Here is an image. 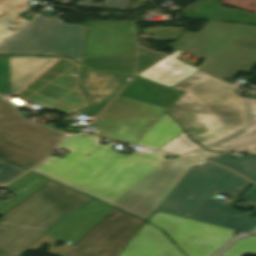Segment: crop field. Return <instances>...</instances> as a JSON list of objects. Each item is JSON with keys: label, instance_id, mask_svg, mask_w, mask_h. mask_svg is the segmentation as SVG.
Returning <instances> with one entry per match:
<instances>
[{"label": "crop field", "instance_id": "28", "mask_svg": "<svg viewBox=\"0 0 256 256\" xmlns=\"http://www.w3.org/2000/svg\"><path fill=\"white\" fill-rule=\"evenodd\" d=\"M241 200L247 201L246 204L256 207V184L251 187Z\"/></svg>", "mask_w": 256, "mask_h": 256}, {"label": "crop field", "instance_id": "29", "mask_svg": "<svg viewBox=\"0 0 256 256\" xmlns=\"http://www.w3.org/2000/svg\"><path fill=\"white\" fill-rule=\"evenodd\" d=\"M214 154H218V153L209 152L205 149H200L198 151L190 152L186 155L187 156H193V157H206V156H210V155H214Z\"/></svg>", "mask_w": 256, "mask_h": 256}, {"label": "crop field", "instance_id": "16", "mask_svg": "<svg viewBox=\"0 0 256 256\" xmlns=\"http://www.w3.org/2000/svg\"><path fill=\"white\" fill-rule=\"evenodd\" d=\"M183 52H175L162 61L158 62L151 68L145 70L144 72L136 75L156 83L162 84L169 88L173 87L177 83L181 82L191 74L195 73L196 70L175 58L181 55Z\"/></svg>", "mask_w": 256, "mask_h": 256}, {"label": "crop field", "instance_id": "2", "mask_svg": "<svg viewBox=\"0 0 256 256\" xmlns=\"http://www.w3.org/2000/svg\"><path fill=\"white\" fill-rule=\"evenodd\" d=\"M173 88L186 94L167 112L205 147L249 124L246 100L231 85L198 71Z\"/></svg>", "mask_w": 256, "mask_h": 256}, {"label": "crop field", "instance_id": "18", "mask_svg": "<svg viewBox=\"0 0 256 256\" xmlns=\"http://www.w3.org/2000/svg\"><path fill=\"white\" fill-rule=\"evenodd\" d=\"M49 179L39 176L34 173H27L21 178L14 181L7 187H3L12 191L17 192L18 194L9 200L4 202L0 201V216L28 196L30 193L35 191L41 185L46 183Z\"/></svg>", "mask_w": 256, "mask_h": 256}, {"label": "crop field", "instance_id": "11", "mask_svg": "<svg viewBox=\"0 0 256 256\" xmlns=\"http://www.w3.org/2000/svg\"><path fill=\"white\" fill-rule=\"evenodd\" d=\"M144 222L114 208L74 243L65 256H117Z\"/></svg>", "mask_w": 256, "mask_h": 256}, {"label": "crop field", "instance_id": "15", "mask_svg": "<svg viewBox=\"0 0 256 256\" xmlns=\"http://www.w3.org/2000/svg\"><path fill=\"white\" fill-rule=\"evenodd\" d=\"M214 209H217V211H214ZM236 214L239 215L234 217ZM253 214L249 212L242 214L230 206L209 199L194 220L247 232L256 225V219L250 218ZM241 221L244 223L241 224Z\"/></svg>", "mask_w": 256, "mask_h": 256}, {"label": "crop field", "instance_id": "20", "mask_svg": "<svg viewBox=\"0 0 256 256\" xmlns=\"http://www.w3.org/2000/svg\"><path fill=\"white\" fill-rule=\"evenodd\" d=\"M249 103L252 119L251 126L248 129L208 148L209 150L226 151L243 143L256 141V99H249Z\"/></svg>", "mask_w": 256, "mask_h": 256}, {"label": "crop field", "instance_id": "1", "mask_svg": "<svg viewBox=\"0 0 256 256\" xmlns=\"http://www.w3.org/2000/svg\"><path fill=\"white\" fill-rule=\"evenodd\" d=\"M113 144L98 145L89 157L50 156L33 171L147 220L188 170L203 162L165 159L167 153L159 151L127 156L112 150Z\"/></svg>", "mask_w": 256, "mask_h": 256}, {"label": "crop field", "instance_id": "31", "mask_svg": "<svg viewBox=\"0 0 256 256\" xmlns=\"http://www.w3.org/2000/svg\"><path fill=\"white\" fill-rule=\"evenodd\" d=\"M251 234H255V235H256V230H255V231H253Z\"/></svg>", "mask_w": 256, "mask_h": 256}, {"label": "crop field", "instance_id": "9", "mask_svg": "<svg viewBox=\"0 0 256 256\" xmlns=\"http://www.w3.org/2000/svg\"><path fill=\"white\" fill-rule=\"evenodd\" d=\"M85 26L39 14L0 47V54L68 56L81 64Z\"/></svg>", "mask_w": 256, "mask_h": 256}, {"label": "crop field", "instance_id": "22", "mask_svg": "<svg viewBox=\"0 0 256 256\" xmlns=\"http://www.w3.org/2000/svg\"><path fill=\"white\" fill-rule=\"evenodd\" d=\"M100 141V138L84 135L68 136L59 148L89 156Z\"/></svg>", "mask_w": 256, "mask_h": 256}, {"label": "crop field", "instance_id": "12", "mask_svg": "<svg viewBox=\"0 0 256 256\" xmlns=\"http://www.w3.org/2000/svg\"><path fill=\"white\" fill-rule=\"evenodd\" d=\"M123 53H136L132 21L87 22L83 55Z\"/></svg>", "mask_w": 256, "mask_h": 256}, {"label": "crop field", "instance_id": "30", "mask_svg": "<svg viewBox=\"0 0 256 256\" xmlns=\"http://www.w3.org/2000/svg\"><path fill=\"white\" fill-rule=\"evenodd\" d=\"M233 151H242V152H245V153L256 154V143L246 145V146H242V147L237 148Z\"/></svg>", "mask_w": 256, "mask_h": 256}, {"label": "crop field", "instance_id": "26", "mask_svg": "<svg viewBox=\"0 0 256 256\" xmlns=\"http://www.w3.org/2000/svg\"><path fill=\"white\" fill-rule=\"evenodd\" d=\"M27 170L0 160V184H5Z\"/></svg>", "mask_w": 256, "mask_h": 256}, {"label": "crop field", "instance_id": "3", "mask_svg": "<svg viewBox=\"0 0 256 256\" xmlns=\"http://www.w3.org/2000/svg\"><path fill=\"white\" fill-rule=\"evenodd\" d=\"M81 66L66 58L0 56V94L14 93L40 107L69 113L88 104L79 89Z\"/></svg>", "mask_w": 256, "mask_h": 256}, {"label": "crop field", "instance_id": "8", "mask_svg": "<svg viewBox=\"0 0 256 256\" xmlns=\"http://www.w3.org/2000/svg\"><path fill=\"white\" fill-rule=\"evenodd\" d=\"M64 135L21 118L0 97V158L28 169L43 160Z\"/></svg>", "mask_w": 256, "mask_h": 256}, {"label": "crop field", "instance_id": "4", "mask_svg": "<svg viewBox=\"0 0 256 256\" xmlns=\"http://www.w3.org/2000/svg\"><path fill=\"white\" fill-rule=\"evenodd\" d=\"M91 199L48 181L1 216L0 256H21L57 222Z\"/></svg>", "mask_w": 256, "mask_h": 256}, {"label": "crop field", "instance_id": "24", "mask_svg": "<svg viewBox=\"0 0 256 256\" xmlns=\"http://www.w3.org/2000/svg\"><path fill=\"white\" fill-rule=\"evenodd\" d=\"M201 148L196 143L189 140L184 133H180L177 137H175L173 140L168 142L166 145L160 148V150L173 152L177 154H183L185 152H188L192 149Z\"/></svg>", "mask_w": 256, "mask_h": 256}, {"label": "crop field", "instance_id": "25", "mask_svg": "<svg viewBox=\"0 0 256 256\" xmlns=\"http://www.w3.org/2000/svg\"><path fill=\"white\" fill-rule=\"evenodd\" d=\"M58 240H55L53 238H50L46 235H44L41 239H39L32 247H30L28 250L31 251H37L44 243L50 244L47 254L55 255V256H63L69 249L70 247L68 244L62 245L58 248H54L52 245Z\"/></svg>", "mask_w": 256, "mask_h": 256}, {"label": "crop field", "instance_id": "17", "mask_svg": "<svg viewBox=\"0 0 256 256\" xmlns=\"http://www.w3.org/2000/svg\"><path fill=\"white\" fill-rule=\"evenodd\" d=\"M183 130L165 112L156 124L136 143L158 149Z\"/></svg>", "mask_w": 256, "mask_h": 256}, {"label": "crop field", "instance_id": "14", "mask_svg": "<svg viewBox=\"0 0 256 256\" xmlns=\"http://www.w3.org/2000/svg\"><path fill=\"white\" fill-rule=\"evenodd\" d=\"M118 256H184L155 226L145 222Z\"/></svg>", "mask_w": 256, "mask_h": 256}, {"label": "crop field", "instance_id": "7", "mask_svg": "<svg viewBox=\"0 0 256 256\" xmlns=\"http://www.w3.org/2000/svg\"><path fill=\"white\" fill-rule=\"evenodd\" d=\"M251 185L235 173L204 161L200 168L189 170L157 210L193 219L216 191L238 199Z\"/></svg>", "mask_w": 256, "mask_h": 256}, {"label": "crop field", "instance_id": "21", "mask_svg": "<svg viewBox=\"0 0 256 256\" xmlns=\"http://www.w3.org/2000/svg\"><path fill=\"white\" fill-rule=\"evenodd\" d=\"M207 160L213 161L215 163L226 164L230 169L253 181H256V156L246 155L240 161L222 156L212 157Z\"/></svg>", "mask_w": 256, "mask_h": 256}, {"label": "crop field", "instance_id": "13", "mask_svg": "<svg viewBox=\"0 0 256 256\" xmlns=\"http://www.w3.org/2000/svg\"><path fill=\"white\" fill-rule=\"evenodd\" d=\"M111 209L113 207L93 199L57 223L46 235L72 245Z\"/></svg>", "mask_w": 256, "mask_h": 256}, {"label": "crop field", "instance_id": "5", "mask_svg": "<svg viewBox=\"0 0 256 256\" xmlns=\"http://www.w3.org/2000/svg\"><path fill=\"white\" fill-rule=\"evenodd\" d=\"M179 95L135 77L90 127L101 129L96 136L135 144Z\"/></svg>", "mask_w": 256, "mask_h": 256}, {"label": "crop field", "instance_id": "19", "mask_svg": "<svg viewBox=\"0 0 256 256\" xmlns=\"http://www.w3.org/2000/svg\"><path fill=\"white\" fill-rule=\"evenodd\" d=\"M31 0H0V43L10 37L13 32H9L5 28L11 27L19 29L22 27L28 20L17 16L18 14L32 8L28 4ZM6 20L18 22L9 26L3 23Z\"/></svg>", "mask_w": 256, "mask_h": 256}, {"label": "crop field", "instance_id": "10", "mask_svg": "<svg viewBox=\"0 0 256 256\" xmlns=\"http://www.w3.org/2000/svg\"><path fill=\"white\" fill-rule=\"evenodd\" d=\"M163 229L187 256H211L235 231L155 211L147 220Z\"/></svg>", "mask_w": 256, "mask_h": 256}, {"label": "crop field", "instance_id": "6", "mask_svg": "<svg viewBox=\"0 0 256 256\" xmlns=\"http://www.w3.org/2000/svg\"><path fill=\"white\" fill-rule=\"evenodd\" d=\"M173 48L209 59L201 71L231 80L256 66V26L209 21L198 34L185 32Z\"/></svg>", "mask_w": 256, "mask_h": 256}, {"label": "crop field", "instance_id": "27", "mask_svg": "<svg viewBox=\"0 0 256 256\" xmlns=\"http://www.w3.org/2000/svg\"><path fill=\"white\" fill-rule=\"evenodd\" d=\"M93 0H83L80 6H93ZM131 0H104V2L96 4L98 8L121 9L127 10Z\"/></svg>", "mask_w": 256, "mask_h": 256}, {"label": "crop field", "instance_id": "23", "mask_svg": "<svg viewBox=\"0 0 256 256\" xmlns=\"http://www.w3.org/2000/svg\"><path fill=\"white\" fill-rule=\"evenodd\" d=\"M247 254L256 255V236L255 235H251L243 239H238L223 253H221L220 256H244Z\"/></svg>", "mask_w": 256, "mask_h": 256}]
</instances>
